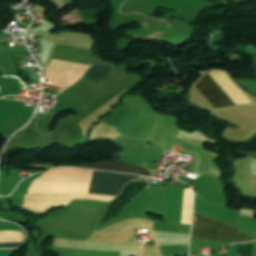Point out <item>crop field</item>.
Listing matches in <instances>:
<instances>
[{
	"mask_svg": "<svg viewBox=\"0 0 256 256\" xmlns=\"http://www.w3.org/2000/svg\"><path fill=\"white\" fill-rule=\"evenodd\" d=\"M191 237L220 241H253L239 228L194 213Z\"/></svg>",
	"mask_w": 256,
	"mask_h": 256,
	"instance_id": "8a807250",
	"label": "crop field"
},
{
	"mask_svg": "<svg viewBox=\"0 0 256 256\" xmlns=\"http://www.w3.org/2000/svg\"><path fill=\"white\" fill-rule=\"evenodd\" d=\"M139 177L127 174L92 171L88 193L117 196L127 182Z\"/></svg>",
	"mask_w": 256,
	"mask_h": 256,
	"instance_id": "ac0d7876",
	"label": "crop field"
},
{
	"mask_svg": "<svg viewBox=\"0 0 256 256\" xmlns=\"http://www.w3.org/2000/svg\"><path fill=\"white\" fill-rule=\"evenodd\" d=\"M149 183L132 181L128 183L121 191L119 196L110 202L105 214L101 218L100 222L108 221L119 215L123 207L134 200L135 195L145 189Z\"/></svg>",
	"mask_w": 256,
	"mask_h": 256,
	"instance_id": "34b2d1b8",
	"label": "crop field"
},
{
	"mask_svg": "<svg viewBox=\"0 0 256 256\" xmlns=\"http://www.w3.org/2000/svg\"><path fill=\"white\" fill-rule=\"evenodd\" d=\"M195 87L208 99L214 108L235 105L209 74Z\"/></svg>",
	"mask_w": 256,
	"mask_h": 256,
	"instance_id": "412701ff",
	"label": "crop field"
},
{
	"mask_svg": "<svg viewBox=\"0 0 256 256\" xmlns=\"http://www.w3.org/2000/svg\"><path fill=\"white\" fill-rule=\"evenodd\" d=\"M62 166H75V167H82V168L127 172V173L140 174L144 176L150 175V171L142 167L134 166L124 162H120V161H115V162L101 161V162H98V165L82 164V165H62Z\"/></svg>",
	"mask_w": 256,
	"mask_h": 256,
	"instance_id": "f4fd0767",
	"label": "crop field"
},
{
	"mask_svg": "<svg viewBox=\"0 0 256 256\" xmlns=\"http://www.w3.org/2000/svg\"><path fill=\"white\" fill-rule=\"evenodd\" d=\"M112 66L113 65L92 64L84 74V77L100 84L107 76L108 72L112 69Z\"/></svg>",
	"mask_w": 256,
	"mask_h": 256,
	"instance_id": "dd49c442",
	"label": "crop field"
},
{
	"mask_svg": "<svg viewBox=\"0 0 256 256\" xmlns=\"http://www.w3.org/2000/svg\"><path fill=\"white\" fill-rule=\"evenodd\" d=\"M237 256H251L252 255V242L242 243L235 245Z\"/></svg>",
	"mask_w": 256,
	"mask_h": 256,
	"instance_id": "e52e79f7",
	"label": "crop field"
},
{
	"mask_svg": "<svg viewBox=\"0 0 256 256\" xmlns=\"http://www.w3.org/2000/svg\"><path fill=\"white\" fill-rule=\"evenodd\" d=\"M20 244H0V248H11V247H17Z\"/></svg>",
	"mask_w": 256,
	"mask_h": 256,
	"instance_id": "d8731c3e",
	"label": "crop field"
}]
</instances>
